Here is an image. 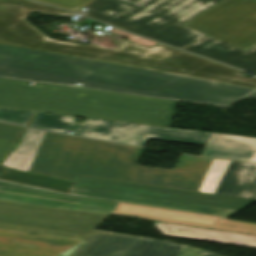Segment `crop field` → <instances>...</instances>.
I'll return each mask as SVG.
<instances>
[{
	"instance_id": "obj_1",
	"label": "crop field",
	"mask_w": 256,
	"mask_h": 256,
	"mask_svg": "<svg viewBox=\"0 0 256 256\" xmlns=\"http://www.w3.org/2000/svg\"><path fill=\"white\" fill-rule=\"evenodd\" d=\"M0 76L228 106L253 88L0 44Z\"/></svg>"
},
{
	"instance_id": "obj_2",
	"label": "crop field",
	"mask_w": 256,
	"mask_h": 256,
	"mask_svg": "<svg viewBox=\"0 0 256 256\" xmlns=\"http://www.w3.org/2000/svg\"><path fill=\"white\" fill-rule=\"evenodd\" d=\"M34 11L72 16V13L31 0H0V43L256 88V77H243V71L159 43L146 48L128 41L118 49L110 50L50 39L25 20L24 17Z\"/></svg>"
},
{
	"instance_id": "obj_3",
	"label": "crop field",
	"mask_w": 256,
	"mask_h": 256,
	"mask_svg": "<svg viewBox=\"0 0 256 256\" xmlns=\"http://www.w3.org/2000/svg\"><path fill=\"white\" fill-rule=\"evenodd\" d=\"M144 149L45 131L29 171L77 175L197 192L213 159L182 155L175 170L136 165Z\"/></svg>"
},
{
	"instance_id": "obj_4",
	"label": "crop field",
	"mask_w": 256,
	"mask_h": 256,
	"mask_svg": "<svg viewBox=\"0 0 256 256\" xmlns=\"http://www.w3.org/2000/svg\"><path fill=\"white\" fill-rule=\"evenodd\" d=\"M0 78V107L170 127L177 101Z\"/></svg>"
},
{
	"instance_id": "obj_5",
	"label": "crop field",
	"mask_w": 256,
	"mask_h": 256,
	"mask_svg": "<svg viewBox=\"0 0 256 256\" xmlns=\"http://www.w3.org/2000/svg\"><path fill=\"white\" fill-rule=\"evenodd\" d=\"M0 180L65 194L229 216L254 201L78 176L75 182L5 169Z\"/></svg>"
},
{
	"instance_id": "obj_6",
	"label": "crop field",
	"mask_w": 256,
	"mask_h": 256,
	"mask_svg": "<svg viewBox=\"0 0 256 256\" xmlns=\"http://www.w3.org/2000/svg\"><path fill=\"white\" fill-rule=\"evenodd\" d=\"M220 0H93L83 15L179 49L204 37L182 23Z\"/></svg>"
},
{
	"instance_id": "obj_7",
	"label": "crop field",
	"mask_w": 256,
	"mask_h": 256,
	"mask_svg": "<svg viewBox=\"0 0 256 256\" xmlns=\"http://www.w3.org/2000/svg\"><path fill=\"white\" fill-rule=\"evenodd\" d=\"M0 199L256 235V223L137 204L117 203L65 195L5 181H0Z\"/></svg>"
},
{
	"instance_id": "obj_8",
	"label": "crop field",
	"mask_w": 256,
	"mask_h": 256,
	"mask_svg": "<svg viewBox=\"0 0 256 256\" xmlns=\"http://www.w3.org/2000/svg\"><path fill=\"white\" fill-rule=\"evenodd\" d=\"M109 215L0 200V228L84 240Z\"/></svg>"
},
{
	"instance_id": "obj_9",
	"label": "crop field",
	"mask_w": 256,
	"mask_h": 256,
	"mask_svg": "<svg viewBox=\"0 0 256 256\" xmlns=\"http://www.w3.org/2000/svg\"><path fill=\"white\" fill-rule=\"evenodd\" d=\"M183 25L246 51L256 45V0H222Z\"/></svg>"
},
{
	"instance_id": "obj_10",
	"label": "crop field",
	"mask_w": 256,
	"mask_h": 256,
	"mask_svg": "<svg viewBox=\"0 0 256 256\" xmlns=\"http://www.w3.org/2000/svg\"><path fill=\"white\" fill-rule=\"evenodd\" d=\"M70 256H216L182 244L96 230Z\"/></svg>"
},
{
	"instance_id": "obj_11",
	"label": "crop field",
	"mask_w": 256,
	"mask_h": 256,
	"mask_svg": "<svg viewBox=\"0 0 256 256\" xmlns=\"http://www.w3.org/2000/svg\"><path fill=\"white\" fill-rule=\"evenodd\" d=\"M75 135L144 146L148 138L205 145L210 133L86 118Z\"/></svg>"
},
{
	"instance_id": "obj_12",
	"label": "crop field",
	"mask_w": 256,
	"mask_h": 256,
	"mask_svg": "<svg viewBox=\"0 0 256 256\" xmlns=\"http://www.w3.org/2000/svg\"><path fill=\"white\" fill-rule=\"evenodd\" d=\"M198 192L254 199L256 164L214 159Z\"/></svg>"
},
{
	"instance_id": "obj_13",
	"label": "crop field",
	"mask_w": 256,
	"mask_h": 256,
	"mask_svg": "<svg viewBox=\"0 0 256 256\" xmlns=\"http://www.w3.org/2000/svg\"><path fill=\"white\" fill-rule=\"evenodd\" d=\"M81 242L0 229V256H55Z\"/></svg>"
},
{
	"instance_id": "obj_14",
	"label": "crop field",
	"mask_w": 256,
	"mask_h": 256,
	"mask_svg": "<svg viewBox=\"0 0 256 256\" xmlns=\"http://www.w3.org/2000/svg\"><path fill=\"white\" fill-rule=\"evenodd\" d=\"M183 50L256 74V46L244 52L207 36Z\"/></svg>"
},
{
	"instance_id": "obj_15",
	"label": "crop field",
	"mask_w": 256,
	"mask_h": 256,
	"mask_svg": "<svg viewBox=\"0 0 256 256\" xmlns=\"http://www.w3.org/2000/svg\"><path fill=\"white\" fill-rule=\"evenodd\" d=\"M152 222V221H151ZM164 235L256 248V236L154 222Z\"/></svg>"
},
{
	"instance_id": "obj_16",
	"label": "crop field",
	"mask_w": 256,
	"mask_h": 256,
	"mask_svg": "<svg viewBox=\"0 0 256 256\" xmlns=\"http://www.w3.org/2000/svg\"><path fill=\"white\" fill-rule=\"evenodd\" d=\"M43 133V131L26 128L20 144L2 165L28 172Z\"/></svg>"
},
{
	"instance_id": "obj_17",
	"label": "crop field",
	"mask_w": 256,
	"mask_h": 256,
	"mask_svg": "<svg viewBox=\"0 0 256 256\" xmlns=\"http://www.w3.org/2000/svg\"><path fill=\"white\" fill-rule=\"evenodd\" d=\"M28 126L43 130L67 133L69 130L74 131L77 125L73 124L72 116L37 112Z\"/></svg>"
},
{
	"instance_id": "obj_18",
	"label": "crop field",
	"mask_w": 256,
	"mask_h": 256,
	"mask_svg": "<svg viewBox=\"0 0 256 256\" xmlns=\"http://www.w3.org/2000/svg\"><path fill=\"white\" fill-rule=\"evenodd\" d=\"M206 145L256 151V138L212 133Z\"/></svg>"
},
{
	"instance_id": "obj_19",
	"label": "crop field",
	"mask_w": 256,
	"mask_h": 256,
	"mask_svg": "<svg viewBox=\"0 0 256 256\" xmlns=\"http://www.w3.org/2000/svg\"><path fill=\"white\" fill-rule=\"evenodd\" d=\"M200 156L256 162V153L204 147Z\"/></svg>"
},
{
	"instance_id": "obj_20",
	"label": "crop field",
	"mask_w": 256,
	"mask_h": 256,
	"mask_svg": "<svg viewBox=\"0 0 256 256\" xmlns=\"http://www.w3.org/2000/svg\"><path fill=\"white\" fill-rule=\"evenodd\" d=\"M34 112L0 108V120L26 126Z\"/></svg>"
},
{
	"instance_id": "obj_21",
	"label": "crop field",
	"mask_w": 256,
	"mask_h": 256,
	"mask_svg": "<svg viewBox=\"0 0 256 256\" xmlns=\"http://www.w3.org/2000/svg\"><path fill=\"white\" fill-rule=\"evenodd\" d=\"M45 3L53 4L72 11H79L89 4L92 0H38Z\"/></svg>"
},
{
	"instance_id": "obj_22",
	"label": "crop field",
	"mask_w": 256,
	"mask_h": 256,
	"mask_svg": "<svg viewBox=\"0 0 256 256\" xmlns=\"http://www.w3.org/2000/svg\"><path fill=\"white\" fill-rule=\"evenodd\" d=\"M24 128L0 123V138L18 141Z\"/></svg>"
},
{
	"instance_id": "obj_23",
	"label": "crop field",
	"mask_w": 256,
	"mask_h": 256,
	"mask_svg": "<svg viewBox=\"0 0 256 256\" xmlns=\"http://www.w3.org/2000/svg\"><path fill=\"white\" fill-rule=\"evenodd\" d=\"M113 33H116L120 36H123L133 42H136V43H139L141 45H144L146 47H151L153 45H155L156 43L155 42H152V41H149L147 39H144V38H141V37H138V36H135V35H132V34H129V33H126V32H123V31H120V30H117V29H114L112 28L111 30H109Z\"/></svg>"
},
{
	"instance_id": "obj_24",
	"label": "crop field",
	"mask_w": 256,
	"mask_h": 256,
	"mask_svg": "<svg viewBox=\"0 0 256 256\" xmlns=\"http://www.w3.org/2000/svg\"><path fill=\"white\" fill-rule=\"evenodd\" d=\"M18 142L0 139V163L13 150Z\"/></svg>"
},
{
	"instance_id": "obj_25",
	"label": "crop field",
	"mask_w": 256,
	"mask_h": 256,
	"mask_svg": "<svg viewBox=\"0 0 256 256\" xmlns=\"http://www.w3.org/2000/svg\"><path fill=\"white\" fill-rule=\"evenodd\" d=\"M81 244H82V243H81ZM81 244H79V245H77V246H75V247H73V248H71V249H69V250H67V251H65V252H63V253L57 255V256H69V255H70L76 248H78Z\"/></svg>"
},
{
	"instance_id": "obj_26",
	"label": "crop field",
	"mask_w": 256,
	"mask_h": 256,
	"mask_svg": "<svg viewBox=\"0 0 256 256\" xmlns=\"http://www.w3.org/2000/svg\"><path fill=\"white\" fill-rule=\"evenodd\" d=\"M247 98L256 99V91H254L253 93H251L250 95H248Z\"/></svg>"
},
{
	"instance_id": "obj_27",
	"label": "crop field",
	"mask_w": 256,
	"mask_h": 256,
	"mask_svg": "<svg viewBox=\"0 0 256 256\" xmlns=\"http://www.w3.org/2000/svg\"><path fill=\"white\" fill-rule=\"evenodd\" d=\"M3 169H4V167H0V171L3 170Z\"/></svg>"
},
{
	"instance_id": "obj_28",
	"label": "crop field",
	"mask_w": 256,
	"mask_h": 256,
	"mask_svg": "<svg viewBox=\"0 0 256 256\" xmlns=\"http://www.w3.org/2000/svg\"><path fill=\"white\" fill-rule=\"evenodd\" d=\"M255 199H256V197H255Z\"/></svg>"
}]
</instances>
